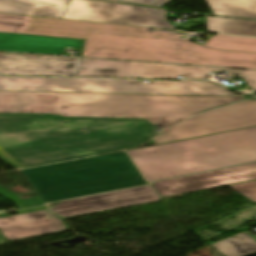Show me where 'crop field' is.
Here are the masks:
<instances>
[{
  "label": "crop field",
  "mask_w": 256,
  "mask_h": 256,
  "mask_svg": "<svg viewBox=\"0 0 256 256\" xmlns=\"http://www.w3.org/2000/svg\"><path fill=\"white\" fill-rule=\"evenodd\" d=\"M0 195L4 196L5 198L13 201L20 209L22 208H28V207H34L43 204L41 199L39 197L35 198H29V199H23L18 201L19 197L4 190L0 187Z\"/></svg>",
  "instance_id": "obj_20"
},
{
  "label": "crop field",
  "mask_w": 256,
  "mask_h": 256,
  "mask_svg": "<svg viewBox=\"0 0 256 256\" xmlns=\"http://www.w3.org/2000/svg\"><path fill=\"white\" fill-rule=\"evenodd\" d=\"M215 133V130L203 115L199 114L185 122L166 129L163 135L157 136L152 140L160 144Z\"/></svg>",
  "instance_id": "obj_16"
},
{
  "label": "crop field",
  "mask_w": 256,
  "mask_h": 256,
  "mask_svg": "<svg viewBox=\"0 0 256 256\" xmlns=\"http://www.w3.org/2000/svg\"><path fill=\"white\" fill-rule=\"evenodd\" d=\"M256 179V163L152 183L161 197ZM152 186V187H153Z\"/></svg>",
  "instance_id": "obj_11"
},
{
  "label": "crop field",
  "mask_w": 256,
  "mask_h": 256,
  "mask_svg": "<svg viewBox=\"0 0 256 256\" xmlns=\"http://www.w3.org/2000/svg\"><path fill=\"white\" fill-rule=\"evenodd\" d=\"M224 256H249L256 253V241L246 233L213 245Z\"/></svg>",
  "instance_id": "obj_19"
},
{
  "label": "crop field",
  "mask_w": 256,
  "mask_h": 256,
  "mask_svg": "<svg viewBox=\"0 0 256 256\" xmlns=\"http://www.w3.org/2000/svg\"><path fill=\"white\" fill-rule=\"evenodd\" d=\"M161 200L150 186L114 191L93 196L49 203V209L65 218Z\"/></svg>",
  "instance_id": "obj_9"
},
{
  "label": "crop field",
  "mask_w": 256,
  "mask_h": 256,
  "mask_svg": "<svg viewBox=\"0 0 256 256\" xmlns=\"http://www.w3.org/2000/svg\"><path fill=\"white\" fill-rule=\"evenodd\" d=\"M68 230L64 218L48 210L0 218V231L8 241Z\"/></svg>",
  "instance_id": "obj_12"
},
{
  "label": "crop field",
  "mask_w": 256,
  "mask_h": 256,
  "mask_svg": "<svg viewBox=\"0 0 256 256\" xmlns=\"http://www.w3.org/2000/svg\"><path fill=\"white\" fill-rule=\"evenodd\" d=\"M235 72L249 86L256 90V70H232L228 68H209L174 64L141 63L81 58L77 77H111V78H184L209 79L211 72Z\"/></svg>",
  "instance_id": "obj_7"
},
{
  "label": "crop field",
  "mask_w": 256,
  "mask_h": 256,
  "mask_svg": "<svg viewBox=\"0 0 256 256\" xmlns=\"http://www.w3.org/2000/svg\"><path fill=\"white\" fill-rule=\"evenodd\" d=\"M147 181L256 161V127L127 151Z\"/></svg>",
  "instance_id": "obj_4"
},
{
  "label": "crop field",
  "mask_w": 256,
  "mask_h": 256,
  "mask_svg": "<svg viewBox=\"0 0 256 256\" xmlns=\"http://www.w3.org/2000/svg\"><path fill=\"white\" fill-rule=\"evenodd\" d=\"M214 15L256 19V0H206Z\"/></svg>",
  "instance_id": "obj_17"
},
{
  "label": "crop field",
  "mask_w": 256,
  "mask_h": 256,
  "mask_svg": "<svg viewBox=\"0 0 256 256\" xmlns=\"http://www.w3.org/2000/svg\"><path fill=\"white\" fill-rule=\"evenodd\" d=\"M156 129L148 121L0 118V158L17 168L58 162L140 146Z\"/></svg>",
  "instance_id": "obj_2"
},
{
  "label": "crop field",
  "mask_w": 256,
  "mask_h": 256,
  "mask_svg": "<svg viewBox=\"0 0 256 256\" xmlns=\"http://www.w3.org/2000/svg\"><path fill=\"white\" fill-rule=\"evenodd\" d=\"M170 1L171 0H121L120 2L162 7Z\"/></svg>",
  "instance_id": "obj_22"
},
{
  "label": "crop field",
  "mask_w": 256,
  "mask_h": 256,
  "mask_svg": "<svg viewBox=\"0 0 256 256\" xmlns=\"http://www.w3.org/2000/svg\"><path fill=\"white\" fill-rule=\"evenodd\" d=\"M166 14L158 8L71 0L62 18L175 29Z\"/></svg>",
  "instance_id": "obj_8"
},
{
  "label": "crop field",
  "mask_w": 256,
  "mask_h": 256,
  "mask_svg": "<svg viewBox=\"0 0 256 256\" xmlns=\"http://www.w3.org/2000/svg\"><path fill=\"white\" fill-rule=\"evenodd\" d=\"M217 133L256 126V100L203 113Z\"/></svg>",
  "instance_id": "obj_14"
},
{
  "label": "crop field",
  "mask_w": 256,
  "mask_h": 256,
  "mask_svg": "<svg viewBox=\"0 0 256 256\" xmlns=\"http://www.w3.org/2000/svg\"><path fill=\"white\" fill-rule=\"evenodd\" d=\"M22 172L45 203L147 184L125 152Z\"/></svg>",
  "instance_id": "obj_5"
},
{
  "label": "crop field",
  "mask_w": 256,
  "mask_h": 256,
  "mask_svg": "<svg viewBox=\"0 0 256 256\" xmlns=\"http://www.w3.org/2000/svg\"><path fill=\"white\" fill-rule=\"evenodd\" d=\"M26 115H45V114H9V113H0V117L8 116H26ZM58 118H80V119H125V118H84V117H61L57 114ZM125 120H146V119H125Z\"/></svg>",
  "instance_id": "obj_23"
},
{
  "label": "crop field",
  "mask_w": 256,
  "mask_h": 256,
  "mask_svg": "<svg viewBox=\"0 0 256 256\" xmlns=\"http://www.w3.org/2000/svg\"><path fill=\"white\" fill-rule=\"evenodd\" d=\"M206 20L209 32L256 37V21L214 17H206Z\"/></svg>",
  "instance_id": "obj_18"
},
{
  "label": "crop field",
  "mask_w": 256,
  "mask_h": 256,
  "mask_svg": "<svg viewBox=\"0 0 256 256\" xmlns=\"http://www.w3.org/2000/svg\"><path fill=\"white\" fill-rule=\"evenodd\" d=\"M112 1H117V0H112Z\"/></svg>",
  "instance_id": "obj_25"
},
{
  "label": "crop field",
  "mask_w": 256,
  "mask_h": 256,
  "mask_svg": "<svg viewBox=\"0 0 256 256\" xmlns=\"http://www.w3.org/2000/svg\"><path fill=\"white\" fill-rule=\"evenodd\" d=\"M80 58L0 52V75L76 77Z\"/></svg>",
  "instance_id": "obj_10"
},
{
  "label": "crop field",
  "mask_w": 256,
  "mask_h": 256,
  "mask_svg": "<svg viewBox=\"0 0 256 256\" xmlns=\"http://www.w3.org/2000/svg\"><path fill=\"white\" fill-rule=\"evenodd\" d=\"M148 28L0 14V32L85 39L83 56L256 68V39L216 35L192 44Z\"/></svg>",
  "instance_id": "obj_1"
},
{
  "label": "crop field",
  "mask_w": 256,
  "mask_h": 256,
  "mask_svg": "<svg viewBox=\"0 0 256 256\" xmlns=\"http://www.w3.org/2000/svg\"><path fill=\"white\" fill-rule=\"evenodd\" d=\"M84 40L0 33V51L63 55L65 46L83 48Z\"/></svg>",
  "instance_id": "obj_13"
},
{
  "label": "crop field",
  "mask_w": 256,
  "mask_h": 256,
  "mask_svg": "<svg viewBox=\"0 0 256 256\" xmlns=\"http://www.w3.org/2000/svg\"><path fill=\"white\" fill-rule=\"evenodd\" d=\"M70 0H0V12L61 18Z\"/></svg>",
  "instance_id": "obj_15"
},
{
  "label": "crop field",
  "mask_w": 256,
  "mask_h": 256,
  "mask_svg": "<svg viewBox=\"0 0 256 256\" xmlns=\"http://www.w3.org/2000/svg\"><path fill=\"white\" fill-rule=\"evenodd\" d=\"M256 99V98H255Z\"/></svg>",
  "instance_id": "obj_26"
},
{
  "label": "crop field",
  "mask_w": 256,
  "mask_h": 256,
  "mask_svg": "<svg viewBox=\"0 0 256 256\" xmlns=\"http://www.w3.org/2000/svg\"><path fill=\"white\" fill-rule=\"evenodd\" d=\"M230 187L256 203V181L230 185Z\"/></svg>",
  "instance_id": "obj_21"
},
{
  "label": "crop field",
  "mask_w": 256,
  "mask_h": 256,
  "mask_svg": "<svg viewBox=\"0 0 256 256\" xmlns=\"http://www.w3.org/2000/svg\"><path fill=\"white\" fill-rule=\"evenodd\" d=\"M238 97L0 91V112L146 118L164 128Z\"/></svg>",
  "instance_id": "obj_3"
},
{
  "label": "crop field",
  "mask_w": 256,
  "mask_h": 256,
  "mask_svg": "<svg viewBox=\"0 0 256 256\" xmlns=\"http://www.w3.org/2000/svg\"><path fill=\"white\" fill-rule=\"evenodd\" d=\"M0 90L236 96L209 81L136 83L134 80L0 77Z\"/></svg>",
  "instance_id": "obj_6"
},
{
  "label": "crop field",
  "mask_w": 256,
  "mask_h": 256,
  "mask_svg": "<svg viewBox=\"0 0 256 256\" xmlns=\"http://www.w3.org/2000/svg\"><path fill=\"white\" fill-rule=\"evenodd\" d=\"M46 209V206H41V207H36V208H32V209H27V210H23V211H18L17 214L20 213H26V212H31V211H37V210H43Z\"/></svg>",
  "instance_id": "obj_24"
}]
</instances>
